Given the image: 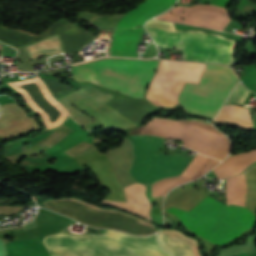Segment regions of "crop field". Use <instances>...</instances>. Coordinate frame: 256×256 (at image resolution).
<instances>
[{
  "label": "crop field",
  "instance_id": "412701ff",
  "mask_svg": "<svg viewBox=\"0 0 256 256\" xmlns=\"http://www.w3.org/2000/svg\"><path fill=\"white\" fill-rule=\"evenodd\" d=\"M134 148V162L130 173L134 180L144 185L179 176L192 161L190 158L154 154L163 144V139L149 135L128 137Z\"/></svg>",
  "mask_w": 256,
  "mask_h": 256
},
{
  "label": "crop field",
  "instance_id": "bc2a9ffb",
  "mask_svg": "<svg viewBox=\"0 0 256 256\" xmlns=\"http://www.w3.org/2000/svg\"><path fill=\"white\" fill-rule=\"evenodd\" d=\"M115 96L116 95H114V94L99 90V91L89 95L88 97L105 105L107 102H109Z\"/></svg>",
  "mask_w": 256,
  "mask_h": 256
},
{
  "label": "crop field",
  "instance_id": "e52e79f7",
  "mask_svg": "<svg viewBox=\"0 0 256 256\" xmlns=\"http://www.w3.org/2000/svg\"><path fill=\"white\" fill-rule=\"evenodd\" d=\"M176 0H145L128 12L117 24L111 42V55L137 56L136 45L141 37L144 22L170 8Z\"/></svg>",
  "mask_w": 256,
  "mask_h": 256
},
{
  "label": "crop field",
  "instance_id": "34b2d1b8",
  "mask_svg": "<svg viewBox=\"0 0 256 256\" xmlns=\"http://www.w3.org/2000/svg\"><path fill=\"white\" fill-rule=\"evenodd\" d=\"M146 29L157 45L179 48L186 60L233 64L234 41L204 31H175L173 23L149 20Z\"/></svg>",
  "mask_w": 256,
  "mask_h": 256
},
{
  "label": "crop field",
  "instance_id": "733c2abd",
  "mask_svg": "<svg viewBox=\"0 0 256 256\" xmlns=\"http://www.w3.org/2000/svg\"><path fill=\"white\" fill-rule=\"evenodd\" d=\"M45 85L47 86L48 90L50 91V93L53 95V97L58 100L72 92H74L73 90H71L67 85L51 80V79H47V80H43Z\"/></svg>",
  "mask_w": 256,
  "mask_h": 256
},
{
  "label": "crop field",
  "instance_id": "ac0d7876",
  "mask_svg": "<svg viewBox=\"0 0 256 256\" xmlns=\"http://www.w3.org/2000/svg\"><path fill=\"white\" fill-rule=\"evenodd\" d=\"M167 212L179 216L191 231L217 245L237 238L255 223V215L246 208L222 204L209 197L189 213L178 208Z\"/></svg>",
  "mask_w": 256,
  "mask_h": 256
},
{
  "label": "crop field",
  "instance_id": "4a817a6b",
  "mask_svg": "<svg viewBox=\"0 0 256 256\" xmlns=\"http://www.w3.org/2000/svg\"><path fill=\"white\" fill-rule=\"evenodd\" d=\"M251 92L246 90L242 84H238L234 92L231 94L229 99L226 101V104L234 103L242 105L243 102L247 99Z\"/></svg>",
  "mask_w": 256,
  "mask_h": 256
},
{
  "label": "crop field",
  "instance_id": "22f410ed",
  "mask_svg": "<svg viewBox=\"0 0 256 256\" xmlns=\"http://www.w3.org/2000/svg\"><path fill=\"white\" fill-rule=\"evenodd\" d=\"M72 131L73 130L63 125L56 132L46 134L36 139L27 147V149L24 152H21L12 156H7L6 158L15 166V164L21 158L25 156H34V155L40 154L44 150L51 148L60 139H62L64 136L68 135Z\"/></svg>",
  "mask_w": 256,
  "mask_h": 256
},
{
  "label": "crop field",
  "instance_id": "dd49c442",
  "mask_svg": "<svg viewBox=\"0 0 256 256\" xmlns=\"http://www.w3.org/2000/svg\"><path fill=\"white\" fill-rule=\"evenodd\" d=\"M204 65L161 60L145 98L162 109L174 108L179 105L177 96L184 83H199Z\"/></svg>",
  "mask_w": 256,
  "mask_h": 256
},
{
  "label": "crop field",
  "instance_id": "d8731c3e",
  "mask_svg": "<svg viewBox=\"0 0 256 256\" xmlns=\"http://www.w3.org/2000/svg\"><path fill=\"white\" fill-rule=\"evenodd\" d=\"M0 140L20 137L39 129L35 118L25 115V110L18 103L0 106Z\"/></svg>",
  "mask_w": 256,
  "mask_h": 256
},
{
  "label": "crop field",
  "instance_id": "8a807250",
  "mask_svg": "<svg viewBox=\"0 0 256 256\" xmlns=\"http://www.w3.org/2000/svg\"><path fill=\"white\" fill-rule=\"evenodd\" d=\"M44 242L51 256H171L159 247L156 235L131 237L105 231L99 236L58 234Z\"/></svg>",
  "mask_w": 256,
  "mask_h": 256
},
{
  "label": "crop field",
  "instance_id": "f4fd0767",
  "mask_svg": "<svg viewBox=\"0 0 256 256\" xmlns=\"http://www.w3.org/2000/svg\"><path fill=\"white\" fill-rule=\"evenodd\" d=\"M50 209L74 218L82 223L104 228L117 229L134 235L156 232L151 223L116 209L101 210L78 199H57L45 203Z\"/></svg>",
  "mask_w": 256,
  "mask_h": 256
},
{
  "label": "crop field",
  "instance_id": "cbeb9de0",
  "mask_svg": "<svg viewBox=\"0 0 256 256\" xmlns=\"http://www.w3.org/2000/svg\"><path fill=\"white\" fill-rule=\"evenodd\" d=\"M216 121L252 130L248 110L236 105L223 106Z\"/></svg>",
  "mask_w": 256,
  "mask_h": 256
},
{
  "label": "crop field",
  "instance_id": "3316defc",
  "mask_svg": "<svg viewBox=\"0 0 256 256\" xmlns=\"http://www.w3.org/2000/svg\"><path fill=\"white\" fill-rule=\"evenodd\" d=\"M105 106L114 109L128 121L138 124L143 116L151 112L155 107L144 99H133L117 95Z\"/></svg>",
  "mask_w": 256,
  "mask_h": 256
},
{
  "label": "crop field",
  "instance_id": "5a996713",
  "mask_svg": "<svg viewBox=\"0 0 256 256\" xmlns=\"http://www.w3.org/2000/svg\"><path fill=\"white\" fill-rule=\"evenodd\" d=\"M59 33L65 53L80 51L82 47L95 36L72 22L62 18L39 36L36 40L46 38L52 34Z\"/></svg>",
  "mask_w": 256,
  "mask_h": 256
},
{
  "label": "crop field",
  "instance_id": "92a150f3",
  "mask_svg": "<svg viewBox=\"0 0 256 256\" xmlns=\"http://www.w3.org/2000/svg\"><path fill=\"white\" fill-rule=\"evenodd\" d=\"M0 256H6L3 240L0 239Z\"/></svg>",
  "mask_w": 256,
  "mask_h": 256
},
{
  "label": "crop field",
  "instance_id": "214f88e0",
  "mask_svg": "<svg viewBox=\"0 0 256 256\" xmlns=\"http://www.w3.org/2000/svg\"><path fill=\"white\" fill-rule=\"evenodd\" d=\"M89 146H91V145L88 143H85V142H81V143L69 148L68 150H66L65 153L74 157L77 154H79L80 152L86 150Z\"/></svg>",
  "mask_w": 256,
  "mask_h": 256
},
{
  "label": "crop field",
  "instance_id": "28ad6ade",
  "mask_svg": "<svg viewBox=\"0 0 256 256\" xmlns=\"http://www.w3.org/2000/svg\"><path fill=\"white\" fill-rule=\"evenodd\" d=\"M124 190L127 202L109 200L103 202L150 219V203L145 195L146 186L135 183L124 187Z\"/></svg>",
  "mask_w": 256,
  "mask_h": 256
},
{
  "label": "crop field",
  "instance_id": "d1516ede",
  "mask_svg": "<svg viewBox=\"0 0 256 256\" xmlns=\"http://www.w3.org/2000/svg\"><path fill=\"white\" fill-rule=\"evenodd\" d=\"M159 243L174 256H200L197 252V243L186 238L182 233L164 230L159 233Z\"/></svg>",
  "mask_w": 256,
  "mask_h": 256
},
{
  "label": "crop field",
  "instance_id": "d9b57169",
  "mask_svg": "<svg viewBox=\"0 0 256 256\" xmlns=\"http://www.w3.org/2000/svg\"><path fill=\"white\" fill-rule=\"evenodd\" d=\"M36 35L21 30L8 29L0 26V41L12 47L18 48L31 43Z\"/></svg>",
  "mask_w": 256,
  "mask_h": 256
},
{
  "label": "crop field",
  "instance_id": "5142ce71",
  "mask_svg": "<svg viewBox=\"0 0 256 256\" xmlns=\"http://www.w3.org/2000/svg\"><path fill=\"white\" fill-rule=\"evenodd\" d=\"M27 54L31 59L43 54L55 53L63 51L62 43L59 35L46 38L39 42L25 46Z\"/></svg>",
  "mask_w": 256,
  "mask_h": 256
},
{
  "label": "crop field",
  "instance_id": "dafd665d",
  "mask_svg": "<svg viewBox=\"0 0 256 256\" xmlns=\"http://www.w3.org/2000/svg\"><path fill=\"white\" fill-rule=\"evenodd\" d=\"M238 174V173H237ZM235 175V174H234Z\"/></svg>",
  "mask_w": 256,
  "mask_h": 256
}]
</instances>
